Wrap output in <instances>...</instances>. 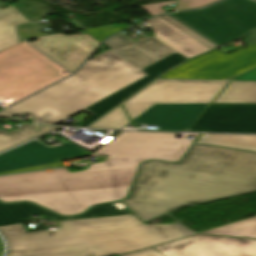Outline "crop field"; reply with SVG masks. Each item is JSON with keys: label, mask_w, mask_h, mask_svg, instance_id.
I'll use <instances>...</instances> for the list:
<instances>
[{"label": "crop field", "mask_w": 256, "mask_h": 256, "mask_svg": "<svg viewBox=\"0 0 256 256\" xmlns=\"http://www.w3.org/2000/svg\"><path fill=\"white\" fill-rule=\"evenodd\" d=\"M2 254H0V256H1Z\"/></svg>", "instance_id": "1d83c4d3"}, {"label": "crop field", "mask_w": 256, "mask_h": 256, "mask_svg": "<svg viewBox=\"0 0 256 256\" xmlns=\"http://www.w3.org/2000/svg\"><path fill=\"white\" fill-rule=\"evenodd\" d=\"M234 79L256 80V69ZM213 103H256V82H231Z\"/></svg>", "instance_id": "4a817a6b"}, {"label": "crop field", "mask_w": 256, "mask_h": 256, "mask_svg": "<svg viewBox=\"0 0 256 256\" xmlns=\"http://www.w3.org/2000/svg\"><path fill=\"white\" fill-rule=\"evenodd\" d=\"M41 144L35 140L0 155V172L68 160L57 150H60L73 143L68 141L59 147L50 148H47Z\"/></svg>", "instance_id": "5142ce71"}, {"label": "crop field", "mask_w": 256, "mask_h": 256, "mask_svg": "<svg viewBox=\"0 0 256 256\" xmlns=\"http://www.w3.org/2000/svg\"><path fill=\"white\" fill-rule=\"evenodd\" d=\"M103 45L116 52L140 70L175 52L153 37H147L141 41L134 42L118 34L106 41Z\"/></svg>", "instance_id": "d1516ede"}, {"label": "crop field", "mask_w": 256, "mask_h": 256, "mask_svg": "<svg viewBox=\"0 0 256 256\" xmlns=\"http://www.w3.org/2000/svg\"><path fill=\"white\" fill-rule=\"evenodd\" d=\"M25 21L12 6L0 10V51L17 43L15 25Z\"/></svg>", "instance_id": "92a150f3"}, {"label": "crop field", "mask_w": 256, "mask_h": 256, "mask_svg": "<svg viewBox=\"0 0 256 256\" xmlns=\"http://www.w3.org/2000/svg\"><path fill=\"white\" fill-rule=\"evenodd\" d=\"M0 252H3V244L1 242V240H0Z\"/></svg>", "instance_id": "bd1437ed"}, {"label": "crop field", "mask_w": 256, "mask_h": 256, "mask_svg": "<svg viewBox=\"0 0 256 256\" xmlns=\"http://www.w3.org/2000/svg\"><path fill=\"white\" fill-rule=\"evenodd\" d=\"M185 57L180 55L179 53H174L159 62L141 70L144 73H146L148 76L131 84L130 86L120 90L119 92L107 97L106 99L96 103L95 105L85 109L84 111H87L89 113L94 114L92 117L84 121L82 124H80V127H85L98 117L102 116L112 108L119 105L120 102H122L124 99L132 95L134 92L157 78L159 75H161L166 70L186 61ZM96 121V120H95ZM93 123V122H92ZM90 125V124H89Z\"/></svg>", "instance_id": "cbeb9de0"}, {"label": "crop field", "mask_w": 256, "mask_h": 256, "mask_svg": "<svg viewBox=\"0 0 256 256\" xmlns=\"http://www.w3.org/2000/svg\"><path fill=\"white\" fill-rule=\"evenodd\" d=\"M198 144L256 152V136L203 134Z\"/></svg>", "instance_id": "bc2a9ffb"}, {"label": "crop field", "mask_w": 256, "mask_h": 256, "mask_svg": "<svg viewBox=\"0 0 256 256\" xmlns=\"http://www.w3.org/2000/svg\"><path fill=\"white\" fill-rule=\"evenodd\" d=\"M84 149L80 148L79 146L73 144L67 148H64L62 150H60L59 152H61L63 155H65L66 157L73 159L76 158Z\"/></svg>", "instance_id": "ae1a2a85"}, {"label": "crop field", "mask_w": 256, "mask_h": 256, "mask_svg": "<svg viewBox=\"0 0 256 256\" xmlns=\"http://www.w3.org/2000/svg\"><path fill=\"white\" fill-rule=\"evenodd\" d=\"M34 127L40 128L38 131L33 129ZM58 127L50 126H35V125H21L19 129L6 132L0 130V152L21 143H24L30 139L40 136L46 132L57 129Z\"/></svg>", "instance_id": "214f88e0"}, {"label": "crop field", "mask_w": 256, "mask_h": 256, "mask_svg": "<svg viewBox=\"0 0 256 256\" xmlns=\"http://www.w3.org/2000/svg\"><path fill=\"white\" fill-rule=\"evenodd\" d=\"M174 1H168V2H162V3H156V4H149V5H142L144 10H146L148 13H150L152 16L165 13L164 10H162L160 7L167 6L168 4L175 3Z\"/></svg>", "instance_id": "eef30255"}, {"label": "crop field", "mask_w": 256, "mask_h": 256, "mask_svg": "<svg viewBox=\"0 0 256 256\" xmlns=\"http://www.w3.org/2000/svg\"><path fill=\"white\" fill-rule=\"evenodd\" d=\"M64 166L62 162L59 163H53V164H47V165H41V166H36V167H30V168H24V169H19V170H13V171H7V172H2L1 174H7V173H14V172H22V171H30V170H38V169H46V168H54V167H62Z\"/></svg>", "instance_id": "d3111659"}, {"label": "crop field", "mask_w": 256, "mask_h": 256, "mask_svg": "<svg viewBox=\"0 0 256 256\" xmlns=\"http://www.w3.org/2000/svg\"><path fill=\"white\" fill-rule=\"evenodd\" d=\"M7 256H110L144 249L190 234L178 222L144 225L132 215L60 222V230L27 233L1 227Z\"/></svg>", "instance_id": "34b2d1b8"}, {"label": "crop field", "mask_w": 256, "mask_h": 256, "mask_svg": "<svg viewBox=\"0 0 256 256\" xmlns=\"http://www.w3.org/2000/svg\"><path fill=\"white\" fill-rule=\"evenodd\" d=\"M175 133L125 132L96 154L105 162L69 173L67 168L0 177V202L29 201L58 215H78L93 205L126 197L142 161L177 162L193 142Z\"/></svg>", "instance_id": "8a807250"}, {"label": "crop field", "mask_w": 256, "mask_h": 256, "mask_svg": "<svg viewBox=\"0 0 256 256\" xmlns=\"http://www.w3.org/2000/svg\"><path fill=\"white\" fill-rule=\"evenodd\" d=\"M37 214H44L54 220H66L85 217L130 214V212L127 209H119L116 207L115 203H111L95 206L81 216L60 217L29 202L9 205H2L0 203V226L31 220L30 216Z\"/></svg>", "instance_id": "d9b57169"}, {"label": "crop field", "mask_w": 256, "mask_h": 256, "mask_svg": "<svg viewBox=\"0 0 256 256\" xmlns=\"http://www.w3.org/2000/svg\"><path fill=\"white\" fill-rule=\"evenodd\" d=\"M164 256H256V241L194 235L154 247Z\"/></svg>", "instance_id": "5a996713"}, {"label": "crop field", "mask_w": 256, "mask_h": 256, "mask_svg": "<svg viewBox=\"0 0 256 256\" xmlns=\"http://www.w3.org/2000/svg\"><path fill=\"white\" fill-rule=\"evenodd\" d=\"M162 19V18H161ZM160 18H152L148 23L154 32V37L190 59L198 54L210 51L200 43L188 37L181 31L169 25Z\"/></svg>", "instance_id": "733c2abd"}, {"label": "crop field", "mask_w": 256, "mask_h": 256, "mask_svg": "<svg viewBox=\"0 0 256 256\" xmlns=\"http://www.w3.org/2000/svg\"><path fill=\"white\" fill-rule=\"evenodd\" d=\"M160 18H162L163 20H165L166 22L170 23L171 25H173L174 27H176L177 29L181 30L182 32H184L185 34L189 35L190 37H192L193 39H195L196 41L200 42L201 44H203L204 46L208 47L209 49H214L216 47H218L217 45H215L214 43H212L211 41L207 40L206 38L202 37L201 35H199L198 33L194 32L193 30L189 29L188 27L184 26L183 24H181L180 22L176 21L175 19H173L172 17L168 16V15H164V16H160Z\"/></svg>", "instance_id": "a9b5d70f"}, {"label": "crop field", "mask_w": 256, "mask_h": 256, "mask_svg": "<svg viewBox=\"0 0 256 256\" xmlns=\"http://www.w3.org/2000/svg\"><path fill=\"white\" fill-rule=\"evenodd\" d=\"M171 15L222 46L256 28V0H224L203 10Z\"/></svg>", "instance_id": "dd49c442"}, {"label": "crop field", "mask_w": 256, "mask_h": 256, "mask_svg": "<svg viewBox=\"0 0 256 256\" xmlns=\"http://www.w3.org/2000/svg\"><path fill=\"white\" fill-rule=\"evenodd\" d=\"M204 233L256 238V217L239 221Z\"/></svg>", "instance_id": "dafd665d"}, {"label": "crop field", "mask_w": 256, "mask_h": 256, "mask_svg": "<svg viewBox=\"0 0 256 256\" xmlns=\"http://www.w3.org/2000/svg\"><path fill=\"white\" fill-rule=\"evenodd\" d=\"M127 27L128 26H120V27L115 28L112 25H108V26L86 29L84 31L88 32L90 35H92L94 38H96L98 41L101 42L102 40L109 37L110 35L118 32L120 30H123Z\"/></svg>", "instance_id": "4177f3b9"}, {"label": "crop field", "mask_w": 256, "mask_h": 256, "mask_svg": "<svg viewBox=\"0 0 256 256\" xmlns=\"http://www.w3.org/2000/svg\"><path fill=\"white\" fill-rule=\"evenodd\" d=\"M228 83L161 80L153 83L123 105L132 121L155 104L210 103Z\"/></svg>", "instance_id": "e52e79f7"}, {"label": "crop field", "mask_w": 256, "mask_h": 256, "mask_svg": "<svg viewBox=\"0 0 256 256\" xmlns=\"http://www.w3.org/2000/svg\"><path fill=\"white\" fill-rule=\"evenodd\" d=\"M69 71H75L99 44L86 34L67 37L63 34L39 38L30 43ZM95 50V49H94ZM85 61V60H84Z\"/></svg>", "instance_id": "28ad6ade"}, {"label": "crop field", "mask_w": 256, "mask_h": 256, "mask_svg": "<svg viewBox=\"0 0 256 256\" xmlns=\"http://www.w3.org/2000/svg\"><path fill=\"white\" fill-rule=\"evenodd\" d=\"M121 256H162V255L158 253L156 250H154L153 248H151L148 250H144V251H140V252H136L128 255H121Z\"/></svg>", "instance_id": "750c4746"}, {"label": "crop field", "mask_w": 256, "mask_h": 256, "mask_svg": "<svg viewBox=\"0 0 256 256\" xmlns=\"http://www.w3.org/2000/svg\"><path fill=\"white\" fill-rule=\"evenodd\" d=\"M129 123L130 122L124 110L121 106H119L89 127L105 129H122Z\"/></svg>", "instance_id": "00972430"}, {"label": "crop field", "mask_w": 256, "mask_h": 256, "mask_svg": "<svg viewBox=\"0 0 256 256\" xmlns=\"http://www.w3.org/2000/svg\"><path fill=\"white\" fill-rule=\"evenodd\" d=\"M256 66V44L225 54L215 49L173 69L161 78L224 80Z\"/></svg>", "instance_id": "d8731c3e"}, {"label": "crop field", "mask_w": 256, "mask_h": 256, "mask_svg": "<svg viewBox=\"0 0 256 256\" xmlns=\"http://www.w3.org/2000/svg\"><path fill=\"white\" fill-rule=\"evenodd\" d=\"M145 74L109 50L87 61L73 76L0 112V117L18 121L12 116L27 113L35 123L55 125Z\"/></svg>", "instance_id": "412701ff"}, {"label": "crop field", "mask_w": 256, "mask_h": 256, "mask_svg": "<svg viewBox=\"0 0 256 256\" xmlns=\"http://www.w3.org/2000/svg\"><path fill=\"white\" fill-rule=\"evenodd\" d=\"M256 190V154L194 145L179 164L141 165L125 203L144 221Z\"/></svg>", "instance_id": "ac0d7876"}, {"label": "crop field", "mask_w": 256, "mask_h": 256, "mask_svg": "<svg viewBox=\"0 0 256 256\" xmlns=\"http://www.w3.org/2000/svg\"><path fill=\"white\" fill-rule=\"evenodd\" d=\"M208 104L155 105L136 118L134 125H157L158 129L186 130Z\"/></svg>", "instance_id": "22f410ed"}, {"label": "crop field", "mask_w": 256, "mask_h": 256, "mask_svg": "<svg viewBox=\"0 0 256 256\" xmlns=\"http://www.w3.org/2000/svg\"><path fill=\"white\" fill-rule=\"evenodd\" d=\"M189 131L256 133V104H211Z\"/></svg>", "instance_id": "3316defc"}, {"label": "crop field", "mask_w": 256, "mask_h": 256, "mask_svg": "<svg viewBox=\"0 0 256 256\" xmlns=\"http://www.w3.org/2000/svg\"><path fill=\"white\" fill-rule=\"evenodd\" d=\"M21 42L0 52V101L10 105L70 74Z\"/></svg>", "instance_id": "f4fd0767"}, {"label": "crop field", "mask_w": 256, "mask_h": 256, "mask_svg": "<svg viewBox=\"0 0 256 256\" xmlns=\"http://www.w3.org/2000/svg\"><path fill=\"white\" fill-rule=\"evenodd\" d=\"M219 0H178L177 11L208 6Z\"/></svg>", "instance_id": "730fd06b"}]
</instances>
